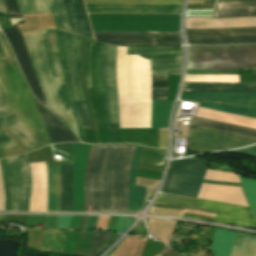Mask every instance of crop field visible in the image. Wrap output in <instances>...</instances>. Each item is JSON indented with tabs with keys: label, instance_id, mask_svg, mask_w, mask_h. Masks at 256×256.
<instances>
[{
	"label": "crop field",
	"instance_id": "obj_1",
	"mask_svg": "<svg viewBox=\"0 0 256 256\" xmlns=\"http://www.w3.org/2000/svg\"><path fill=\"white\" fill-rule=\"evenodd\" d=\"M135 146H96L89 174V211H128V183Z\"/></svg>",
	"mask_w": 256,
	"mask_h": 256
},
{
	"label": "crop field",
	"instance_id": "obj_2",
	"mask_svg": "<svg viewBox=\"0 0 256 256\" xmlns=\"http://www.w3.org/2000/svg\"><path fill=\"white\" fill-rule=\"evenodd\" d=\"M104 43L87 41L85 74L97 128H109L107 103L103 87L102 57ZM116 46H104L103 74L108 102L110 128L119 127L115 81ZM99 143H111L109 129H97Z\"/></svg>",
	"mask_w": 256,
	"mask_h": 256
},
{
	"label": "crop field",
	"instance_id": "obj_3",
	"mask_svg": "<svg viewBox=\"0 0 256 256\" xmlns=\"http://www.w3.org/2000/svg\"><path fill=\"white\" fill-rule=\"evenodd\" d=\"M51 71L63 106L66 120L80 138L75 119L64 87L58 58L55 30H41ZM40 31L23 35L34 70L42 88L48 109L65 119L56 87L50 71Z\"/></svg>",
	"mask_w": 256,
	"mask_h": 256
},
{
	"label": "crop field",
	"instance_id": "obj_4",
	"mask_svg": "<svg viewBox=\"0 0 256 256\" xmlns=\"http://www.w3.org/2000/svg\"><path fill=\"white\" fill-rule=\"evenodd\" d=\"M62 75L78 128H91L79 79L81 37L56 30Z\"/></svg>",
	"mask_w": 256,
	"mask_h": 256
},
{
	"label": "crop field",
	"instance_id": "obj_5",
	"mask_svg": "<svg viewBox=\"0 0 256 256\" xmlns=\"http://www.w3.org/2000/svg\"><path fill=\"white\" fill-rule=\"evenodd\" d=\"M256 68V46H189L187 69Z\"/></svg>",
	"mask_w": 256,
	"mask_h": 256
},
{
	"label": "crop field",
	"instance_id": "obj_6",
	"mask_svg": "<svg viewBox=\"0 0 256 256\" xmlns=\"http://www.w3.org/2000/svg\"><path fill=\"white\" fill-rule=\"evenodd\" d=\"M1 56V55H0ZM2 65L11 88L13 97L26 122L38 135L42 145L49 144L45 127L38 115L32 93L21 73L4 57L1 56Z\"/></svg>",
	"mask_w": 256,
	"mask_h": 256
},
{
	"label": "crop field",
	"instance_id": "obj_7",
	"mask_svg": "<svg viewBox=\"0 0 256 256\" xmlns=\"http://www.w3.org/2000/svg\"><path fill=\"white\" fill-rule=\"evenodd\" d=\"M155 204L179 207H184L185 205H188L201 209L213 210L217 211V216L213 221L256 228L249 209L245 207L166 194H161ZM184 217L195 218L186 215H184Z\"/></svg>",
	"mask_w": 256,
	"mask_h": 256
},
{
	"label": "crop field",
	"instance_id": "obj_8",
	"mask_svg": "<svg viewBox=\"0 0 256 256\" xmlns=\"http://www.w3.org/2000/svg\"><path fill=\"white\" fill-rule=\"evenodd\" d=\"M95 40L111 43L152 44V36H180L179 32L93 31ZM122 46H181L180 37H153V45L115 44Z\"/></svg>",
	"mask_w": 256,
	"mask_h": 256
},
{
	"label": "crop field",
	"instance_id": "obj_9",
	"mask_svg": "<svg viewBox=\"0 0 256 256\" xmlns=\"http://www.w3.org/2000/svg\"><path fill=\"white\" fill-rule=\"evenodd\" d=\"M256 139L192 125L188 145L211 151L242 147Z\"/></svg>",
	"mask_w": 256,
	"mask_h": 256
},
{
	"label": "crop field",
	"instance_id": "obj_10",
	"mask_svg": "<svg viewBox=\"0 0 256 256\" xmlns=\"http://www.w3.org/2000/svg\"><path fill=\"white\" fill-rule=\"evenodd\" d=\"M19 157L23 168L24 188L22 169ZM19 157L15 156L6 158L8 163V172L10 175L12 191L11 210H20L23 188V200L21 210L28 211L31 193V170L27 155L25 154Z\"/></svg>",
	"mask_w": 256,
	"mask_h": 256
},
{
	"label": "crop field",
	"instance_id": "obj_11",
	"mask_svg": "<svg viewBox=\"0 0 256 256\" xmlns=\"http://www.w3.org/2000/svg\"><path fill=\"white\" fill-rule=\"evenodd\" d=\"M128 54L151 59L152 74H179L181 47H128Z\"/></svg>",
	"mask_w": 256,
	"mask_h": 256
},
{
	"label": "crop field",
	"instance_id": "obj_12",
	"mask_svg": "<svg viewBox=\"0 0 256 256\" xmlns=\"http://www.w3.org/2000/svg\"><path fill=\"white\" fill-rule=\"evenodd\" d=\"M3 32L32 89V92L40 102L45 101L32 64L30 62L25 43L21 37L19 26L17 25L13 28L3 30Z\"/></svg>",
	"mask_w": 256,
	"mask_h": 256
},
{
	"label": "crop field",
	"instance_id": "obj_13",
	"mask_svg": "<svg viewBox=\"0 0 256 256\" xmlns=\"http://www.w3.org/2000/svg\"><path fill=\"white\" fill-rule=\"evenodd\" d=\"M204 174L170 167L160 191L196 197Z\"/></svg>",
	"mask_w": 256,
	"mask_h": 256
},
{
	"label": "crop field",
	"instance_id": "obj_14",
	"mask_svg": "<svg viewBox=\"0 0 256 256\" xmlns=\"http://www.w3.org/2000/svg\"><path fill=\"white\" fill-rule=\"evenodd\" d=\"M22 14L48 11L51 8L56 28L69 30L62 0H17ZM70 31V30H69Z\"/></svg>",
	"mask_w": 256,
	"mask_h": 256
},
{
	"label": "crop field",
	"instance_id": "obj_15",
	"mask_svg": "<svg viewBox=\"0 0 256 256\" xmlns=\"http://www.w3.org/2000/svg\"><path fill=\"white\" fill-rule=\"evenodd\" d=\"M88 12L180 13L182 5L86 4Z\"/></svg>",
	"mask_w": 256,
	"mask_h": 256
},
{
	"label": "crop field",
	"instance_id": "obj_16",
	"mask_svg": "<svg viewBox=\"0 0 256 256\" xmlns=\"http://www.w3.org/2000/svg\"><path fill=\"white\" fill-rule=\"evenodd\" d=\"M182 92L256 93V83L185 82Z\"/></svg>",
	"mask_w": 256,
	"mask_h": 256
},
{
	"label": "crop field",
	"instance_id": "obj_17",
	"mask_svg": "<svg viewBox=\"0 0 256 256\" xmlns=\"http://www.w3.org/2000/svg\"><path fill=\"white\" fill-rule=\"evenodd\" d=\"M71 30L85 37H93L83 0H64Z\"/></svg>",
	"mask_w": 256,
	"mask_h": 256
},
{
	"label": "crop field",
	"instance_id": "obj_18",
	"mask_svg": "<svg viewBox=\"0 0 256 256\" xmlns=\"http://www.w3.org/2000/svg\"><path fill=\"white\" fill-rule=\"evenodd\" d=\"M35 99V98H34ZM40 117L46 127L51 144L57 142L66 141H76L80 142L71 131L62 124L58 119H56L52 114H50L45 108H43L39 102L35 99Z\"/></svg>",
	"mask_w": 256,
	"mask_h": 256
},
{
	"label": "crop field",
	"instance_id": "obj_19",
	"mask_svg": "<svg viewBox=\"0 0 256 256\" xmlns=\"http://www.w3.org/2000/svg\"><path fill=\"white\" fill-rule=\"evenodd\" d=\"M256 16V0L216 2L212 18Z\"/></svg>",
	"mask_w": 256,
	"mask_h": 256
},
{
	"label": "crop field",
	"instance_id": "obj_20",
	"mask_svg": "<svg viewBox=\"0 0 256 256\" xmlns=\"http://www.w3.org/2000/svg\"><path fill=\"white\" fill-rule=\"evenodd\" d=\"M141 146L136 147L133 167L129 183V211L139 210L144 203L145 194L148 187L135 185L137 165L140 157Z\"/></svg>",
	"mask_w": 256,
	"mask_h": 256
},
{
	"label": "crop field",
	"instance_id": "obj_21",
	"mask_svg": "<svg viewBox=\"0 0 256 256\" xmlns=\"http://www.w3.org/2000/svg\"><path fill=\"white\" fill-rule=\"evenodd\" d=\"M48 178V211H59L60 164L46 165Z\"/></svg>",
	"mask_w": 256,
	"mask_h": 256
},
{
	"label": "crop field",
	"instance_id": "obj_22",
	"mask_svg": "<svg viewBox=\"0 0 256 256\" xmlns=\"http://www.w3.org/2000/svg\"><path fill=\"white\" fill-rule=\"evenodd\" d=\"M4 125L13 132L29 151L39 148L35 139L17 118L16 114L0 118V126Z\"/></svg>",
	"mask_w": 256,
	"mask_h": 256
},
{
	"label": "crop field",
	"instance_id": "obj_23",
	"mask_svg": "<svg viewBox=\"0 0 256 256\" xmlns=\"http://www.w3.org/2000/svg\"><path fill=\"white\" fill-rule=\"evenodd\" d=\"M72 173L73 165L61 164L60 211H73Z\"/></svg>",
	"mask_w": 256,
	"mask_h": 256
},
{
	"label": "crop field",
	"instance_id": "obj_24",
	"mask_svg": "<svg viewBox=\"0 0 256 256\" xmlns=\"http://www.w3.org/2000/svg\"><path fill=\"white\" fill-rule=\"evenodd\" d=\"M195 116L256 129V119L252 118H246L201 108L198 109Z\"/></svg>",
	"mask_w": 256,
	"mask_h": 256
},
{
	"label": "crop field",
	"instance_id": "obj_25",
	"mask_svg": "<svg viewBox=\"0 0 256 256\" xmlns=\"http://www.w3.org/2000/svg\"><path fill=\"white\" fill-rule=\"evenodd\" d=\"M236 233L216 228L209 251L215 252L214 256H228Z\"/></svg>",
	"mask_w": 256,
	"mask_h": 256
},
{
	"label": "crop field",
	"instance_id": "obj_26",
	"mask_svg": "<svg viewBox=\"0 0 256 256\" xmlns=\"http://www.w3.org/2000/svg\"><path fill=\"white\" fill-rule=\"evenodd\" d=\"M229 256H256V235L238 232Z\"/></svg>",
	"mask_w": 256,
	"mask_h": 256
},
{
	"label": "crop field",
	"instance_id": "obj_27",
	"mask_svg": "<svg viewBox=\"0 0 256 256\" xmlns=\"http://www.w3.org/2000/svg\"><path fill=\"white\" fill-rule=\"evenodd\" d=\"M190 44L256 43V35L224 37H187Z\"/></svg>",
	"mask_w": 256,
	"mask_h": 256
},
{
	"label": "crop field",
	"instance_id": "obj_28",
	"mask_svg": "<svg viewBox=\"0 0 256 256\" xmlns=\"http://www.w3.org/2000/svg\"><path fill=\"white\" fill-rule=\"evenodd\" d=\"M180 99L256 101V94L182 93Z\"/></svg>",
	"mask_w": 256,
	"mask_h": 256
},
{
	"label": "crop field",
	"instance_id": "obj_29",
	"mask_svg": "<svg viewBox=\"0 0 256 256\" xmlns=\"http://www.w3.org/2000/svg\"><path fill=\"white\" fill-rule=\"evenodd\" d=\"M187 36H224L256 34V27L233 29H186Z\"/></svg>",
	"mask_w": 256,
	"mask_h": 256
},
{
	"label": "crop field",
	"instance_id": "obj_30",
	"mask_svg": "<svg viewBox=\"0 0 256 256\" xmlns=\"http://www.w3.org/2000/svg\"><path fill=\"white\" fill-rule=\"evenodd\" d=\"M192 124L256 138V130H253V129L237 127V126H232V125H227V124H222V123H217V122H212V121H207V120H202L197 118L194 119Z\"/></svg>",
	"mask_w": 256,
	"mask_h": 256
},
{
	"label": "crop field",
	"instance_id": "obj_31",
	"mask_svg": "<svg viewBox=\"0 0 256 256\" xmlns=\"http://www.w3.org/2000/svg\"><path fill=\"white\" fill-rule=\"evenodd\" d=\"M66 231L44 230L40 250L62 253Z\"/></svg>",
	"mask_w": 256,
	"mask_h": 256
},
{
	"label": "crop field",
	"instance_id": "obj_32",
	"mask_svg": "<svg viewBox=\"0 0 256 256\" xmlns=\"http://www.w3.org/2000/svg\"><path fill=\"white\" fill-rule=\"evenodd\" d=\"M199 107L216 110V111H221V112H226V113H231V114H236V115H241V116H246V117L256 118L255 111L240 109V108L216 104V103L201 102Z\"/></svg>",
	"mask_w": 256,
	"mask_h": 256
},
{
	"label": "crop field",
	"instance_id": "obj_33",
	"mask_svg": "<svg viewBox=\"0 0 256 256\" xmlns=\"http://www.w3.org/2000/svg\"><path fill=\"white\" fill-rule=\"evenodd\" d=\"M241 185L250 204V209L256 221V180L240 176Z\"/></svg>",
	"mask_w": 256,
	"mask_h": 256
},
{
	"label": "crop field",
	"instance_id": "obj_34",
	"mask_svg": "<svg viewBox=\"0 0 256 256\" xmlns=\"http://www.w3.org/2000/svg\"><path fill=\"white\" fill-rule=\"evenodd\" d=\"M153 95L152 100H167L168 80L167 75H152Z\"/></svg>",
	"mask_w": 256,
	"mask_h": 256
},
{
	"label": "crop field",
	"instance_id": "obj_35",
	"mask_svg": "<svg viewBox=\"0 0 256 256\" xmlns=\"http://www.w3.org/2000/svg\"><path fill=\"white\" fill-rule=\"evenodd\" d=\"M165 151L143 148L140 162L143 164H151L164 167L165 159L163 158Z\"/></svg>",
	"mask_w": 256,
	"mask_h": 256
},
{
	"label": "crop field",
	"instance_id": "obj_36",
	"mask_svg": "<svg viewBox=\"0 0 256 256\" xmlns=\"http://www.w3.org/2000/svg\"><path fill=\"white\" fill-rule=\"evenodd\" d=\"M185 81L238 82L237 75L187 74Z\"/></svg>",
	"mask_w": 256,
	"mask_h": 256
},
{
	"label": "crop field",
	"instance_id": "obj_37",
	"mask_svg": "<svg viewBox=\"0 0 256 256\" xmlns=\"http://www.w3.org/2000/svg\"><path fill=\"white\" fill-rule=\"evenodd\" d=\"M0 80H1V83L3 85V88L9 98V102L11 104V107L12 109L14 110V112L17 114L18 118L21 120V122L27 127V129L32 133V135L35 137V139L37 140V142L39 143L40 147L42 146L37 135L34 133V131L30 128V126L25 122V120L22 118L21 116V113L12 97V94H11V91H10V88L8 86V83L6 81V78H5V75H4V72H3V68H2V65H1V61H0Z\"/></svg>",
	"mask_w": 256,
	"mask_h": 256
},
{
	"label": "crop field",
	"instance_id": "obj_38",
	"mask_svg": "<svg viewBox=\"0 0 256 256\" xmlns=\"http://www.w3.org/2000/svg\"><path fill=\"white\" fill-rule=\"evenodd\" d=\"M86 3L182 4L183 0H85Z\"/></svg>",
	"mask_w": 256,
	"mask_h": 256
},
{
	"label": "crop field",
	"instance_id": "obj_39",
	"mask_svg": "<svg viewBox=\"0 0 256 256\" xmlns=\"http://www.w3.org/2000/svg\"><path fill=\"white\" fill-rule=\"evenodd\" d=\"M208 161L187 158L174 161L170 166L205 172Z\"/></svg>",
	"mask_w": 256,
	"mask_h": 256
},
{
	"label": "crop field",
	"instance_id": "obj_40",
	"mask_svg": "<svg viewBox=\"0 0 256 256\" xmlns=\"http://www.w3.org/2000/svg\"><path fill=\"white\" fill-rule=\"evenodd\" d=\"M109 235L110 233L108 232H95L89 256H95L107 246Z\"/></svg>",
	"mask_w": 256,
	"mask_h": 256
},
{
	"label": "crop field",
	"instance_id": "obj_41",
	"mask_svg": "<svg viewBox=\"0 0 256 256\" xmlns=\"http://www.w3.org/2000/svg\"><path fill=\"white\" fill-rule=\"evenodd\" d=\"M12 25L24 23L23 16L18 8L16 0H5Z\"/></svg>",
	"mask_w": 256,
	"mask_h": 256
},
{
	"label": "crop field",
	"instance_id": "obj_42",
	"mask_svg": "<svg viewBox=\"0 0 256 256\" xmlns=\"http://www.w3.org/2000/svg\"><path fill=\"white\" fill-rule=\"evenodd\" d=\"M14 114L0 83V117Z\"/></svg>",
	"mask_w": 256,
	"mask_h": 256
},
{
	"label": "crop field",
	"instance_id": "obj_43",
	"mask_svg": "<svg viewBox=\"0 0 256 256\" xmlns=\"http://www.w3.org/2000/svg\"><path fill=\"white\" fill-rule=\"evenodd\" d=\"M95 146L96 145L91 147V151H90V155H89L88 162H87V167H86V174H85V210L84 211H88V174H89L91 159H92V155H93Z\"/></svg>",
	"mask_w": 256,
	"mask_h": 256
},
{
	"label": "crop field",
	"instance_id": "obj_44",
	"mask_svg": "<svg viewBox=\"0 0 256 256\" xmlns=\"http://www.w3.org/2000/svg\"><path fill=\"white\" fill-rule=\"evenodd\" d=\"M14 143L5 131L0 132V149L16 147Z\"/></svg>",
	"mask_w": 256,
	"mask_h": 256
},
{
	"label": "crop field",
	"instance_id": "obj_45",
	"mask_svg": "<svg viewBox=\"0 0 256 256\" xmlns=\"http://www.w3.org/2000/svg\"><path fill=\"white\" fill-rule=\"evenodd\" d=\"M130 223H131L130 218L118 217L116 232L122 233Z\"/></svg>",
	"mask_w": 256,
	"mask_h": 256
},
{
	"label": "crop field",
	"instance_id": "obj_46",
	"mask_svg": "<svg viewBox=\"0 0 256 256\" xmlns=\"http://www.w3.org/2000/svg\"><path fill=\"white\" fill-rule=\"evenodd\" d=\"M71 216H59L56 228L68 229Z\"/></svg>",
	"mask_w": 256,
	"mask_h": 256
},
{
	"label": "crop field",
	"instance_id": "obj_47",
	"mask_svg": "<svg viewBox=\"0 0 256 256\" xmlns=\"http://www.w3.org/2000/svg\"><path fill=\"white\" fill-rule=\"evenodd\" d=\"M187 73L238 74V71L187 70Z\"/></svg>",
	"mask_w": 256,
	"mask_h": 256
},
{
	"label": "crop field",
	"instance_id": "obj_48",
	"mask_svg": "<svg viewBox=\"0 0 256 256\" xmlns=\"http://www.w3.org/2000/svg\"><path fill=\"white\" fill-rule=\"evenodd\" d=\"M58 216L47 215L44 228H55Z\"/></svg>",
	"mask_w": 256,
	"mask_h": 256
},
{
	"label": "crop field",
	"instance_id": "obj_49",
	"mask_svg": "<svg viewBox=\"0 0 256 256\" xmlns=\"http://www.w3.org/2000/svg\"><path fill=\"white\" fill-rule=\"evenodd\" d=\"M221 104H226V105H231V106H236L240 108H245V109H250V110H255L256 111V104H249V103H221Z\"/></svg>",
	"mask_w": 256,
	"mask_h": 256
},
{
	"label": "crop field",
	"instance_id": "obj_50",
	"mask_svg": "<svg viewBox=\"0 0 256 256\" xmlns=\"http://www.w3.org/2000/svg\"><path fill=\"white\" fill-rule=\"evenodd\" d=\"M158 255H160V256H182V255L170 250L167 247L164 250H162Z\"/></svg>",
	"mask_w": 256,
	"mask_h": 256
},
{
	"label": "crop field",
	"instance_id": "obj_51",
	"mask_svg": "<svg viewBox=\"0 0 256 256\" xmlns=\"http://www.w3.org/2000/svg\"><path fill=\"white\" fill-rule=\"evenodd\" d=\"M234 151L256 155V146L243 148V149H239V150H234Z\"/></svg>",
	"mask_w": 256,
	"mask_h": 256
},
{
	"label": "crop field",
	"instance_id": "obj_52",
	"mask_svg": "<svg viewBox=\"0 0 256 256\" xmlns=\"http://www.w3.org/2000/svg\"><path fill=\"white\" fill-rule=\"evenodd\" d=\"M0 43H1L2 48H3V50H4L5 58H6L9 62H11V63L13 64V62H12V60H11V57H10V55H9V53H8V51H7L6 47H5V45H4L3 41H2V39H1V37H0Z\"/></svg>",
	"mask_w": 256,
	"mask_h": 256
},
{
	"label": "crop field",
	"instance_id": "obj_53",
	"mask_svg": "<svg viewBox=\"0 0 256 256\" xmlns=\"http://www.w3.org/2000/svg\"><path fill=\"white\" fill-rule=\"evenodd\" d=\"M0 13L8 15L4 0H0Z\"/></svg>",
	"mask_w": 256,
	"mask_h": 256
},
{
	"label": "crop field",
	"instance_id": "obj_54",
	"mask_svg": "<svg viewBox=\"0 0 256 256\" xmlns=\"http://www.w3.org/2000/svg\"><path fill=\"white\" fill-rule=\"evenodd\" d=\"M215 0H205L204 3H214Z\"/></svg>",
	"mask_w": 256,
	"mask_h": 256
},
{
	"label": "crop field",
	"instance_id": "obj_55",
	"mask_svg": "<svg viewBox=\"0 0 256 256\" xmlns=\"http://www.w3.org/2000/svg\"><path fill=\"white\" fill-rule=\"evenodd\" d=\"M253 75H256V71H253Z\"/></svg>",
	"mask_w": 256,
	"mask_h": 256
},
{
	"label": "crop field",
	"instance_id": "obj_56",
	"mask_svg": "<svg viewBox=\"0 0 256 256\" xmlns=\"http://www.w3.org/2000/svg\"><path fill=\"white\" fill-rule=\"evenodd\" d=\"M216 1H226V0H216Z\"/></svg>",
	"mask_w": 256,
	"mask_h": 256
},
{
	"label": "crop field",
	"instance_id": "obj_57",
	"mask_svg": "<svg viewBox=\"0 0 256 256\" xmlns=\"http://www.w3.org/2000/svg\"><path fill=\"white\" fill-rule=\"evenodd\" d=\"M0 131H3V130L0 128Z\"/></svg>",
	"mask_w": 256,
	"mask_h": 256
}]
</instances>
